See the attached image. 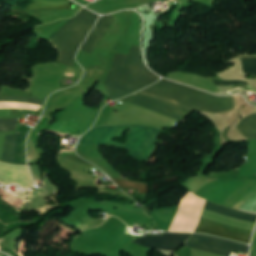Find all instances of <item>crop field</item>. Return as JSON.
Returning <instances> with one entry per match:
<instances>
[{"label":"crop field","mask_w":256,"mask_h":256,"mask_svg":"<svg viewBox=\"0 0 256 256\" xmlns=\"http://www.w3.org/2000/svg\"><path fill=\"white\" fill-rule=\"evenodd\" d=\"M118 101L136 104L181 121L192 110L218 113L234 108L232 96L218 97L165 79Z\"/></svg>","instance_id":"obj_1"},{"label":"crop field","mask_w":256,"mask_h":256,"mask_svg":"<svg viewBox=\"0 0 256 256\" xmlns=\"http://www.w3.org/2000/svg\"><path fill=\"white\" fill-rule=\"evenodd\" d=\"M46 191H45V189H41V187H39V188H37V189H34V190H32V194H31V196H30V198L29 199H33V198H35L37 195H39V194H42V193H45Z\"/></svg>","instance_id":"obj_16"},{"label":"crop field","mask_w":256,"mask_h":256,"mask_svg":"<svg viewBox=\"0 0 256 256\" xmlns=\"http://www.w3.org/2000/svg\"><path fill=\"white\" fill-rule=\"evenodd\" d=\"M65 76L74 77V74H72V73H66V75H65Z\"/></svg>","instance_id":"obj_17"},{"label":"crop field","mask_w":256,"mask_h":256,"mask_svg":"<svg viewBox=\"0 0 256 256\" xmlns=\"http://www.w3.org/2000/svg\"><path fill=\"white\" fill-rule=\"evenodd\" d=\"M245 73L256 77V58H241Z\"/></svg>","instance_id":"obj_11"},{"label":"crop field","mask_w":256,"mask_h":256,"mask_svg":"<svg viewBox=\"0 0 256 256\" xmlns=\"http://www.w3.org/2000/svg\"><path fill=\"white\" fill-rule=\"evenodd\" d=\"M113 21L114 19L112 15L101 16L96 26L82 45L81 50L93 53Z\"/></svg>","instance_id":"obj_8"},{"label":"crop field","mask_w":256,"mask_h":256,"mask_svg":"<svg viewBox=\"0 0 256 256\" xmlns=\"http://www.w3.org/2000/svg\"><path fill=\"white\" fill-rule=\"evenodd\" d=\"M16 137L17 134L15 136H4L0 160L14 164ZM25 137V133L18 132L15 164L26 165L24 152Z\"/></svg>","instance_id":"obj_7"},{"label":"crop field","mask_w":256,"mask_h":256,"mask_svg":"<svg viewBox=\"0 0 256 256\" xmlns=\"http://www.w3.org/2000/svg\"><path fill=\"white\" fill-rule=\"evenodd\" d=\"M185 246L223 256H229L230 252L234 250H239L248 253L249 249V246L200 234H192V236L189 238Z\"/></svg>","instance_id":"obj_5"},{"label":"crop field","mask_w":256,"mask_h":256,"mask_svg":"<svg viewBox=\"0 0 256 256\" xmlns=\"http://www.w3.org/2000/svg\"><path fill=\"white\" fill-rule=\"evenodd\" d=\"M240 131L248 139H256V113L243 119L237 125Z\"/></svg>","instance_id":"obj_10"},{"label":"crop field","mask_w":256,"mask_h":256,"mask_svg":"<svg viewBox=\"0 0 256 256\" xmlns=\"http://www.w3.org/2000/svg\"><path fill=\"white\" fill-rule=\"evenodd\" d=\"M140 56V48L135 45L126 56L115 55L103 84L112 100L132 93L159 79L146 67Z\"/></svg>","instance_id":"obj_2"},{"label":"crop field","mask_w":256,"mask_h":256,"mask_svg":"<svg viewBox=\"0 0 256 256\" xmlns=\"http://www.w3.org/2000/svg\"><path fill=\"white\" fill-rule=\"evenodd\" d=\"M215 82L216 85H221V86H229V85H238V84H242V85H246V83L244 82H230V81H216L213 80Z\"/></svg>","instance_id":"obj_15"},{"label":"crop field","mask_w":256,"mask_h":256,"mask_svg":"<svg viewBox=\"0 0 256 256\" xmlns=\"http://www.w3.org/2000/svg\"><path fill=\"white\" fill-rule=\"evenodd\" d=\"M255 205H256V195L253 196L249 201H247L243 206H241L240 209L250 211ZM247 211H243V212H247ZM251 212L256 213V206L251 210Z\"/></svg>","instance_id":"obj_14"},{"label":"crop field","mask_w":256,"mask_h":256,"mask_svg":"<svg viewBox=\"0 0 256 256\" xmlns=\"http://www.w3.org/2000/svg\"><path fill=\"white\" fill-rule=\"evenodd\" d=\"M17 119L0 120V131L14 130L17 127Z\"/></svg>","instance_id":"obj_13"},{"label":"crop field","mask_w":256,"mask_h":256,"mask_svg":"<svg viewBox=\"0 0 256 256\" xmlns=\"http://www.w3.org/2000/svg\"><path fill=\"white\" fill-rule=\"evenodd\" d=\"M204 208L221 213V214H225L234 218L256 223V215L243 213V212L236 211L234 209L222 207L212 202L207 201ZM211 221L201 218L195 232L206 233V234L249 244L251 233H252L251 231L241 230V229L225 226V225L218 224Z\"/></svg>","instance_id":"obj_4"},{"label":"crop field","mask_w":256,"mask_h":256,"mask_svg":"<svg viewBox=\"0 0 256 256\" xmlns=\"http://www.w3.org/2000/svg\"><path fill=\"white\" fill-rule=\"evenodd\" d=\"M12 198H13V197H12ZM13 200H14L17 204H19V205H22V203H23V202H22V203H18V202H17V199H14V198H13Z\"/></svg>","instance_id":"obj_18"},{"label":"crop field","mask_w":256,"mask_h":256,"mask_svg":"<svg viewBox=\"0 0 256 256\" xmlns=\"http://www.w3.org/2000/svg\"><path fill=\"white\" fill-rule=\"evenodd\" d=\"M189 236L190 234L164 233L162 237L149 235L132 243L152 249L175 251Z\"/></svg>","instance_id":"obj_6"},{"label":"crop field","mask_w":256,"mask_h":256,"mask_svg":"<svg viewBox=\"0 0 256 256\" xmlns=\"http://www.w3.org/2000/svg\"><path fill=\"white\" fill-rule=\"evenodd\" d=\"M71 9L70 1L33 0L26 10Z\"/></svg>","instance_id":"obj_9"},{"label":"crop field","mask_w":256,"mask_h":256,"mask_svg":"<svg viewBox=\"0 0 256 256\" xmlns=\"http://www.w3.org/2000/svg\"><path fill=\"white\" fill-rule=\"evenodd\" d=\"M98 17L82 8L74 18L50 37L58 49L59 62L75 67V53Z\"/></svg>","instance_id":"obj_3"},{"label":"crop field","mask_w":256,"mask_h":256,"mask_svg":"<svg viewBox=\"0 0 256 256\" xmlns=\"http://www.w3.org/2000/svg\"><path fill=\"white\" fill-rule=\"evenodd\" d=\"M0 101H10V102H27L42 105V100H34L26 97H0Z\"/></svg>","instance_id":"obj_12"}]
</instances>
